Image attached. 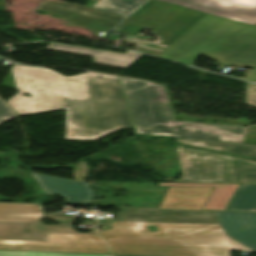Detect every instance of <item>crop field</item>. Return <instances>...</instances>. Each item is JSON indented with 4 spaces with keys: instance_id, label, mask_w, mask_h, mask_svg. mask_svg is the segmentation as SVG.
I'll use <instances>...</instances> for the list:
<instances>
[{
    "instance_id": "obj_1",
    "label": "crop field",
    "mask_w": 256,
    "mask_h": 256,
    "mask_svg": "<svg viewBox=\"0 0 256 256\" xmlns=\"http://www.w3.org/2000/svg\"><path fill=\"white\" fill-rule=\"evenodd\" d=\"M2 85L20 90L7 101L18 115L66 108V140H96L134 127L116 76L88 72L66 77L52 69L14 65ZM26 92L32 97L22 95Z\"/></svg>"
},
{
    "instance_id": "obj_2",
    "label": "crop field",
    "mask_w": 256,
    "mask_h": 256,
    "mask_svg": "<svg viewBox=\"0 0 256 256\" xmlns=\"http://www.w3.org/2000/svg\"><path fill=\"white\" fill-rule=\"evenodd\" d=\"M119 210V217L109 224L112 229L99 232L111 244L114 254L230 256L229 249L254 252L229 238L214 212ZM148 225H155L158 232H151Z\"/></svg>"
},
{
    "instance_id": "obj_3",
    "label": "crop field",
    "mask_w": 256,
    "mask_h": 256,
    "mask_svg": "<svg viewBox=\"0 0 256 256\" xmlns=\"http://www.w3.org/2000/svg\"><path fill=\"white\" fill-rule=\"evenodd\" d=\"M52 218L58 226L41 224ZM72 217L41 215L39 205L0 204V249L109 253L107 244L96 234H78ZM30 229L31 233H25Z\"/></svg>"
},
{
    "instance_id": "obj_4",
    "label": "crop field",
    "mask_w": 256,
    "mask_h": 256,
    "mask_svg": "<svg viewBox=\"0 0 256 256\" xmlns=\"http://www.w3.org/2000/svg\"><path fill=\"white\" fill-rule=\"evenodd\" d=\"M255 27L206 14L159 57L191 65L195 55H206L220 64L253 68L237 78L256 82Z\"/></svg>"
},
{
    "instance_id": "obj_5",
    "label": "crop field",
    "mask_w": 256,
    "mask_h": 256,
    "mask_svg": "<svg viewBox=\"0 0 256 256\" xmlns=\"http://www.w3.org/2000/svg\"><path fill=\"white\" fill-rule=\"evenodd\" d=\"M120 78L137 133L243 144L244 127L175 122L164 86Z\"/></svg>"
},
{
    "instance_id": "obj_6",
    "label": "crop field",
    "mask_w": 256,
    "mask_h": 256,
    "mask_svg": "<svg viewBox=\"0 0 256 256\" xmlns=\"http://www.w3.org/2000/svg\"><path fill=\"white\" fill-rule=\"evenodd\" d=\"M191 170L177 182L256 183V160L186 148Z\"/></svg>"
},
{
    "instance_id": "obj_7",
    "label": "crop field",
    "mask_w": 256,
    "mask_h": 256,
    "mask_svg": "<svg viewBox=\"0 0 256 256\" xmlns=\"http://www.w3.org/2000/svg\"><path fill=\"white\" fill-rule=\"evenodd\" d=\"M205 13L148 0L124 21L132 22L153 30L161 37L160 44L170 46Z\"/></svg>"
},
{
    "instance_id": "obj_8",
    "label": "crop field",
    "mask_w": 256,
    "mask_h": 256,
    "mask_svg": "<svg viewBox=\"0 0 256 256\" xmlns=\"http://www.w3.org/2000/svg\"><path fill=\"white\" fill-rule=\"evenodd\" d=\"M36 10L58 15L59 19L70 21L67 25H80L95 34L103 28L111 29L123 19L120 16L56 1L42 0Z\"/></svg>"
},
{
    "instance_id": "obj_9",
    "label": "crop field",
    "mask_w": 256,
    "mask_h": 256,
    "mask_svg": "<svg viewBox=\"0 0 256 256\" xmlns=\"http://www.w3.org/2000/svg\"><path fill=\"white\" fill-rule=\"evenodd\" d=\"M254 26L256 0H161Z\"/></svg>"
},
{
    "instance_id": "obj_10",
    "label": "crop field",
    "mask_w": 256,
    "mask_h": 256,
    "mask_svg": "<svg viewBox=\"0 0 256 256\" xmlns=\"http://www.w3.org/2000/svg\"><path fill=\"white\" fill-rule=\"evenodd\" d=\"M45 193H55L65 197L66 203L90 205L93 192L86 182L54 178L31 173Z\"/></svg>"
},
{
    "instance_id": "obj_11",
    "label": "crop field",
    "mask_w": 256,
    "mask_h": 256,
    "mask_svg": "<svg viewBox=\"0 0 256 256\" xmlns=\"http://www.w3.org/2000/svg\"><path fill=\"white\" fill-rule=\"evenodd\" d=\"M229 237L256 251V213L215 212Z\"/></svg>"
},
{
    "instance_id": "obj_12",
    "label": "crop field",
    "mask_w": 256,
    "mask_h": 256,
    "mask_svg": "<svg viewBox=\"0 0 256 256\" xmlns=\"http://www.w3.org/2000/svg\"><path fill=\"white\" fill-rule=\"evenodd\" d=\"M213 187H169L160 207L202 209Z\"/></svg>"
},
{
    "instance_id": "obj_13",
    "label": "crop field",
    "mask_w": 256,
    "mask_h": 256,
    "mask_svg": "<svg viewBox=\"0 0 256 256\" xmlns=\"http://www.w3.org/2000/svg\"><path fill=\"white\" fill-rule=\"evenodd\" d=\"M47 48L92 55L93 62L117 66V67H123V68H126L130 63H132L139 56H141V54L137 52H132V51H128L126 54H122V53L102 51V50L68 45V44L57 43V42L50 43Z\"/></svg>"
},
{
    "instance_id": "obj_14",
    "label": "crop field",
    "mask_w": 256,
    "mask_h": 256,
    "mask_svg": "<svg viewBox=\"0 0 256 256\" xmlns=\"http://www.w3.org/2000/svg\"><path fill=\"white\" fill-rule=\"evenodd\" d=\"M159 186H214L203 209L225 210L240 184L158 183Z\"/></svg>"
},
{
    "instance_id": "obj_15",
    "label": "crop field",
    "mask_w": 256,
    "mask_h": 256,
    "mask_svg": "<svg viewBox=\"0 0 256 256\" xmlns=\"http://www.w3.org/2000/svg\"><path fill=\"white\" fill-rule=\"evenodd\" d=\"M175 140L182 144L220 150V151H224L232 154L256 158V145H239V144L220 143V142L194 141V140H184V139H178V138H175Z\"/></svg>"
},
{
    "instance_id": "obj_16",
    "label": "crop field",
    "mask_w": 256,
    "mask_h": 256,
    "mask_svg": "<svg viewBox=\"0 0 256 256\" xmlns=\"http://www.w3.org/2000/svg\"><path fill=\"white\" fill-rule=\"evenodd\" d=\"M146 27L122 22L120 25H118L116 28H114L112 31L123 33L128 35L129 37L123 40V42H127L134 45L143 46L146 48L154 49L157 51L163 52L167 46H163L157 43L149 42L148 37L140 36L138 35L139 32Z\"/></svg>"
},
{
    "instance_id": "obj_17",
    "label": "crop field",
    "mask_w": 256,
    "mask_h": 256,
    "mask_svg": "<svg viewBox=\"0 0 256 256\" xmlns=\"http://www.w3.org/2000/svg\"><path fill=\"white\" fill-rule=\"evenodd\" d=\"M226 210L256 211V185H240Z\"/></svg>"
},
{
    "instance_id": "obj_18",
    "label": "crop field",
    "mask_w": 256,
    "mask_h": 256,
    "mask_svg": "<svg viewBox=\"0 0 256 256\" xmlns=\"http://www.w3.org/2000/svg\"><path fill=\"white\" fill-rule=\"evenodd\" d=\"M141 0H99L92 8L124 15Z\"/></svg>"
},
{
    "instance_id": "obj_19",
    "label": "crop field",
    "mask_w": 256,
    "mask_h": 256,
    "mask_svg": "<svg viewBox=\"0 0 256 256\" xmlns=\"http://www.w3.org/2000/svg\"><path fill=\"white\" fill-rule=\"evenodd\" d=\"M0 256H111V255L74 254V253H48V252H22V251H0Z\"/></svg>"
},
{
    "instance_id": "obj_20",
    "label": "crop field",
    "mask_w": 256,
    "mask_h": 256,
    "mask_svg": "<svg viewBox=\"0 0 256 256\" xmlns=\"http://www.w3.org/2000/svg\"><path fill=\"white\" fill-rule=\"evenodd\" d=\"M14 117V112L0 99V124Z\"/></svg>"
},
{
    "instance_id": "obj_21",
    "label": "crop field",
    "mask_w": 256,
    "mask_h": 256,
    "mask_svg": "<svg viewBox=\"0 0 256 256\" xmlns=\"http://www.w3.org/2000/svg\"><path fill=\"white\" fill-rule=\"evenodd\" d=\"M176 149H177V155H178V160H179L181 172L184 169H190L189 163H188V158H187V155L185 153V147L176 146Z\"/></svg>"
},
{
    "instance_id": "obj_22",
    "label": "crop field",
    "mask_w": 256,
    "mask_h": 256,
    "mask_svg": "<svg viewBox=\"0 0 256 256\" xmlns=\"http://www.w3.org/2000/svg\"><path fill=\"white\" fill-rule=\"evenodd\" d=\"M246 102L256 106V85L246 83Z\"/></svg>"
},
{
    "instance_id": "obj_23",
    "label": "crop field",
    "mask_w": 256,
    "mask_h": 256,
    "mask_svg": "<svg viewBox=\"0 0 256 256\" xmlns=\"http://www.w3.org/2000/svg\"><path fill=\"white\" fill-rule=\"evenodd\" d=\"M135 51H139V52H143V53H147V54H151V55H155V56H158L159 54H161V52H157V51L146 49V48L139 47V46L136 47Z\"/></svg>"
},
{
    "instance_id": "obj_24",
    "label": "crop field",
    "mask_w": 256,
    "mask_h": 256,
    "mask_svg": "<svg viewBox=\"0 0 256 256\" xmlns=\"http://www.w3.org/2000/svg\"><path fill=\"white\" fill-rule=\"evenodd\" d=\"M144 1L146 0H142L138 5H136L131 11H129L126 15L124 16H127L129 13H131L134 9H136L138 6H140Z\"/></svg>"
},
{
    "instance_id": "obj_25",
    "label": "crop field",
    "mask_w": 256,
    "mask_h": 256,
    "mask_svg": "<svg viewBox=\"0 0 256 256\" xmlns=\"http://www.w3.org/2000/svg\"><path fill=\"white\" fill-rule=\"evenodd\" d=\"M4 8V4H3V1L0 0V10H2Z\"/></svg>"
},
{
    "instance_id": "obj_26",
    "label": "crop field",
    "mask_w": 256,
    "mask_h": 256,
    "mask_svg": "<svg viewBox=\"0 0 256 256\" xmlns=\"http://www.w3.org/2000/svg\"><path fill=\"white\" fill-rule=\"evenodd\" d=\"M115 256H128V255H115Z\"/></svg>"
},
{
    "instance_id": "obj_27",
    "label": "crop field",
    "mask_w": 256,
    "mask_h": 256,
    "mask_svg": "<svg viewBox=\"0 0 256 256\" xmlns=\"http://www.w3.org/2000/svg\"><path fill=\"white\" fill-rule=\"evenodd\" d=\"M256 26V25H255Z\"/></svg>"
}]
</instances>
